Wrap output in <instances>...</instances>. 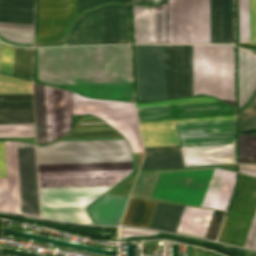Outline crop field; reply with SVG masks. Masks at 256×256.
<instances>
[{
	"mask_svg": "<svg viewBox=\"0 0 256 256\" xmlns=\"http://www.w3.org/2000/svg\"><path fill=\"white\" fill-rule=\"evenodd\" d=\"M44 83L132 81L130 45L37 48ZM82 95L133 101L132 82L52 84Z\"/></svg>",
	"mask_w": 256,
	"mask_h": 256,
	"instance_id": "1",
	"label": "crop field"
},
{
	"mask_svg": "<svg viewBox=\"0 0 256 256\" xmlns=\"http://www.w3.org/2000/svg\"><path fill=\"white\" fill-rule=\"evenodd\" d=\"M40 188L114 186L132 163L38 166ZM111 187L40 189L42 218L92 223L85 207Z\"/></svg>",
	"mask_w": 256,
	"mask_h": 256,
	"instance_id": "2",
	"label": "crop field"
},
{
	"mask_svg": "<svg viewBox=\"0 0 256 256\" xmlns=\"http://www.w3.org/2000/svg\"><path fill=\"white\" fill-rule=\"evenodd\" d=\"M194 95L210 94L234 106L233 46L193 45Z\"/></svg>",
	"mask_w": 256,
	"mask_h": 256,
	"instance_id": "3",
	"label": "crop field"
},
{
	"mask_svg": "<svg viewBox=\"0 0 256 256\" xmlns=\"http://www.w3.org/2000/svg\"><path fill=\"white\" fill-rule=\"evenodd\" d=\"M37 156L38 165L132 162L124 140L53 142Z\"/></svg>",
	"mask_w": 256,
	"mask_h": 256,
	"instance_id": "4",
	"label": "crop field"
},
{
	"mask_svg": "<svg viewBox=\"0 0 256 256\" xmlns=\"http://www.w3.org/2000/svg\"><path fill=\"white\" fill-rule=\"evenodd\" d=\"M37 144H46L71 129L73 93L33 83Z\"/></svg>",
	"mask_w": 256,
	"mask_h": 256,
	"instance_id": "5",
	"label": "crop field"
},
{
	"mask_svg": "<svg viewBox=\"0 0 256 256\" xmlns=\"http://www.w3.org/2000/svg\"><path fill=\"white\" fill-rule=\"evenodd\" d=\"M73 114H93L119 131L132 152L143 151L133 103L92 100L74 94Z\"/></svg>",
	"mask_w": 256,
	"mask_h": 256,
	"instance_id": "6",
	"label": "crop field"
},
{
	"mask_svg": "<svg viewBox=\"0 0 256 256\" xmlns=\"http://www.w3.org/2000/svg\"><path fill=\"white\" fill-rule=\"evenodd\" d=\"M256 211V179L241 176L222 242L244 246Z\"/></svg>",
	"mask_w": 256,
	"mask_h": 256,
	"instance_id": "7",
	"label": "crop field"
},
{
	"mask_svg": "<svg viewBox=\"0 0 256 256\" xmlns=\"http://www.w3.org/2000/svg\"><path fill=\"white\" fill-rule=\"evenodd\" d=\"M140 101L165 99V45H136Z\"/></svg>",
	"mask_w": 256,
	"mask_h": 256,
	"instance_id": "8",
	"label": "crop field"
},
{
	"mask_svg": "<svg viewBox=\"0 0 256 256\" xmlns=\"http://www.w3.org/2000/svg\"><path fill=\"white\" fill-rule=\"evenodd\" d=\"M75 0H40L39 41L62 37L74 17ZM91 0H76L75 15L90 8Z\"/></svg>",
	"mask_w": 256,
	"mask_h": 256,
	"instance_id": "9",
	"label": "crop field"
},
{
	"mask_svg": "<svg viewBox=\"0 0 256 256\" xmlns=\"http://www.w3.org/2000/svg\"><path fill=\"white\" fill-rule=\"evenodd\" d=\"M192 95L191 45H166V99Z\"/></svg>",
	"mask_w": 256,
	"mask_h": 256,
	"instance_id": "10",
	"label": "crop field"
},
{
	"mask_svg": "<svg viewBox=\"0 0 256 256\" xmlns=\"http://www.w3.org/2000/svg\"><path fill=\"white\" fill-rule=\"evenodd\" d=\"M135 43H170L169 0L152 7L133 6Z\"/></svg>",
	"mask_w": 256,
	"mask_h": 256,
	"instance_id": "11",
	"label": "crop field"
},
{
	"mask_svg": "<svg viewBox=\"0 0 256 256\" xmlns=\"http://www.w3.org/2000/svg\"><path fill=\"white\" fill-rule=\"evenodd\" d=\"M176 126L181 147L234 144V120Z\"/></svg>",
	"mask_w": 256,
	"mask_h": 256,
	"instance_id": "12",
	"label": "crop field"
},
{
	"mask_svg": "<svg viewBox=\"0 0 256 256\" xmlns=\"http://www.w3.org/2000/svg\"><path fill=\"white\" fill-rule=\"evenodd\" d=\"M21 214L40 217L35 146L18 143Z\"/></svg>",
	"mask_w": 256,
	"mask_h": 256,
	"instance_id": "13",
	"label": "crop field"
},
{
	"mask_svg": "<svg viewBox=\"0 0 256 256\" xmlns=\"http://www.w3.org/2000/svg\"><path fill=\"white\" fill-rule=\"evenodd\" d=\"M139 121L234 116V109L222 104H196L137 108Z\"/></svg>",
	"mask_w": 256,
	"mask_h": 256,
	"instance_id": "14",
	"label": "crop field"
},
{
	"mask_svg": "<svg viewBox=\"0 0 256 256\" xmlns=\"http://www.w3.org/2000/svg\"><path fill=\"white\" fill-rule=\"evenodd\" d=\"M111 44L109 6L94 10L79 19L67 45Z\"/></svg>",
	"mask_w": 256,
	"mask_h": 256,
	"instance_id": "15",
	"label": "crop field"
},
{
	"mask_svg": "<svg viewBox=\"0 0 256 256\" xmlns=\"http://www.w3.org/2000/svg\"><path fill=\"white\" fill-rule=\"evenodd\" d=\"M210 43H233L232 0H210Z\"/></svg>",
	"mask_w": 256,
	"mask_h": 256,
	"instance_id": "16",
	"label": "crop field"
},
{
	"mask_svg": "<svg viewBox=\"0 0 256 256\" xmlns=\"http://www.w3.org/2000/svg\"><path fill=\"white\" fill-rule=\"evenodd\" d=\"M34 123L32 95H0V124Z\"/></svg>",
	"mask_w": 256,
	"mask_h": 256,
	"instance_id": "17",
	"label": "crop field"
},
{
	"mask_svg": "<svg viewBox=\"0 0 256 256\" xmlns=\"http://www.w3.org/2000/svg\"><path fill=\"white\" fill-rule=\"evenodd\" d=\"M184 166L234 163V145L181 148Z\"/></svg>",
	"mask_w": 256,
	"mask_h": 256,
	"instance_id": "18",
	"label": "crop field"
},
{
	"mask_svg": "<svg viewBox=\"0 0 256 256\" xmlns=\"http://www.w3.org/2000/svg\"><path fill=\"white\" fill-rule=\"evenodd\" d=\"M171 43H192V0H170Z\"/></svg>",
	"mask_w": 256,
	"mask_h": 256,
	"instance_id": "19",
	"label": "crop field"
},
{
	"mask_svg": "<svg viewBox=\"0 0 256 256\" xmlns=\"http://www.w3.org/2000/svg\"><path fill=\"white\" fill-rule=\"evenodd\" d=\"M139 125L144 147L179 145L174 121Z\"/></svg>",
	"mask_w": 256,
	"mask_h": 256,
	"instance_id": "20",
	"label": "crop field"
},
{
	"mask_svg": "<svg viewBox=\"0 0 256 256\" xmlns=\"http://www.w3.org/2000/svg\"><path fill=\"white\" fill-rule=\"evenodd\" d=\"M106 195V194H105ZM128 198L106 195L88 208L95 224L118 225Z\"/></svg>",
	"mask_w": 256,
	"mask_h": 256,
	"instance_id": "21",
	"label": "crop field"
},
{
	"mask_svg": "<svg viewBox=\"0 0 256 256\" xmlns=\"http://www.w3.org/2000/svg\"><path fill=\"white\" fill-rule=\"evenodd\" d=\"M239 108L256 90V58L238 49Z\"/></svg>",
	"mask_w": 256,
	"mask_h": 256,
	"instance_id": "22",
	"label": "crop field"
},
{
	"mask_svg": "<svg viewBox=\"0 0 256 256\" xmlns=\"http://www.w3.org/2000/svg\"><path fill=\"white\" fill-rule=\"evenodd\" d=\"M144 149L146 156L140 170L183 167L179 146Z\"/></svg>",
	"mask_w": 256,
	"mask_h": 256,
	"instance_id": "23",
	"label": "crop field"
},
{
	"mask_svg": "<svg viewBox=\"0 0 256 256\" xmlns=\"http://www.w3.org/2000/svg\"><path fill=\"white\" fill-rule=\"evenodd\" d=\"M212 212L210 209L186 206L176 232L203 237Z\"/></svg>",
	"mask_w": 256,
	"mask_h": 256,
	"instance_id": "24",
	"label": "crop field"
},
{
	"mask_svg": "<svg viewBox=\"0 0 256 256\" xmlns=\"http://www.w3.org/2000/svg\"><path fill=\"white\" fill-rule=\"evenodd\" d=\"M34 0H0V22L33 24Z\"/></svg>",
	"mask_w": 256,
	"mask_h": 256,
	"instance_id": "25",
	"label": "crop field"
},
{
	"mask_svg": "<svg viewBox=\"0 0 256 256\" xmlns=\"http://www.w3.org/2000/svg\"><path fill=\"white\" fill-rule=\"evenodd\" d=\"M6 167L9 212L20 214L17 183L16 142H6Z\"/></svg>",
	"mask_w": 256,
	"mask_h": 256,
	"instance_id": "26",
	"label": "crop field"
},
{
	"mask_svg": "<svg viewBox=\"0 0 256 256\" xmlns=\"http://www.w3.org/2000/svg\"><path fill=\"white\" fill-rule=\"evenodd\" d=\"M185 206L158 202L150 228L175 232Z\"/></svg>",
	"mask_w": 256,
	"mask_h": 256,
	"instance_id": "27",
	"label": "crop field"
},
{
	"mask_svg": "<svg viewBox=\"0 0 256 256\" xmlns=\"http://www.w3.org/2000/svg\"><path fill=\"white\" fill-rule=\"evenodd\" d=\"M157 202L130 198L121 224L148 228Z\"/></svg>",
	"mask_w": 256,
	"mask_h": 256,
	"instance_id": "28",
	"label": "crop field"
},
{
	"mask_svg": "<svg viewBox=\"0 0 256 256\" xmlns=\"http://www.w3.org/2000/svg\"><path fill=\"white\" fill-rule=\"evenodd\" d=\"M193 43H209V0H193Z\"/></svg>",
	"mask_w": 256,
	"mask_h": 256,
	"instance_id": "29",
	"label": "crop field"
},
{
	"mask_svg": "<svg viewBox=\"0 0 256 256\" xmlns=\"http://www.w3.org/2000/svg\"><path fill=\"white\" fill-rule=\"evenodd\" d=\"M112 44L130 43L127 6L111 5Z\"/></svg>",
	"mask_w": 256,
	"mask_h": 256,
	"instance_id": "30",
	"label": "crop field"
},
{
	"mask_svg": "<svg viewBox=\"0 0 256 256\" xmlns=\"http://www.w3.org/2000/svg\"><path fill=\"white\" fill-rule=\"evenodd\" d=\"M256 130V93L247 106L238 111V132Z\"/></svg>",
	"mask_w": 256,
	"mask_h": 256,
	"instance_id": "31",
	"label": "crop field"
},
{
	"mask_svg": "<svg viewBox=\"0 0 256 256\" xmlns=\"http://www.w3.org/2000/svg\"><path fill=\"white\" fill-rule=\"evenodd\" d=\"M234 183L235 173L226 170L213 208L225 211Z\"/></svg>",
	"mask_w": 256,
	"mask_h": 256,
	"instance_id": "32",
	"label": "crop field"
},
{
	"mask_svg": "<svg viewBox=\"0 0 256 256\" xmlns=\"http://www.w3.org/2000/svg\"><path fill=\"white\" fill-rule=\"evenodd\" d=\"M256 162V135H239V163Z\"/></svg>",
	"mask_w": 256,
	"mask_h": 256,
	"instance_id": "33",
	"label": "crop field"
},
{
	"mask_svg": "<svg viewBox=\"0 0 256 256\" xmlns=\"http://www.w3.org/2000/svg\"><path fill=\"white\" fill-rule=\"evenodd\" d=\"M0 138H35L34 124L0 125Z\"/></svg>",
	"mask_w": 256,
	"mask_h": 256,
	"instance_id": "34",
	"label": "crop field"
},
{
	"mask_svg": "<svg viewBox=\"0 0 256 256\" xmlns=\"http://www.w3.org/2000/svg\"><path fill=\"white\" fill-rule=\"evenodd\" d=\"M32 49L16 48L15 75L31 79Z\"/></svg>",
	"mask_w": 256,
	"mask_h": 256,
	"instance_id": "35",
	"label": "crop field"
},
{
	"mask_svg": "<svg viewBox=\"0 0 256 256\" xmlns=\"http://www.w3.org/2000/svg\"><path fill=\"white\" fill-rule=\"evenodd\" d=\"M224 171L225 170L218 169L216 167L214 168V171H213V174H212V177H211V180H210V183L201 207H207V208L213 207Z\"/></svg>",
	"mask_w": 256,
	"mask_h": 256,
	"instance_id": "36",
	"label": "crop field"
},
{
	"mask_svg": "<svg viewBox=\"0 0 256 256\" xmlns=\"http://www.w3.org/2000/svg\"><path fill=\"white\" fill-rule=\"evenodd\" d=\"M239 9V42L249 40L248 0H238Z\"/></svg>",
	"mask_w": 256,
	"mask_h": 256,
	"instance_id": "37",
	"label": "crop field"
},
{
	"mask_svg": "<svg viewBox=\"0 0 256 256\" xmlns=\"http://www.w3.org/2000/svg\"><path fill=\"white\" fill-rule=\"evenodd\" d=\"M14 47L0 43V72L13 75Z\"/></svg>",
	"mask_w": 256,
	"mask_h": 256,
	"instance_id": "38",
	"label": "crop field"
},
{
	"mask_svg": "<svg viewBox=\"0 0 256 256\" xmlns=\"http://www.w3.org/2000/svg\"><path fill=\"white\" fill-rule=\"evenodd\" d=\"M0 35L13 42H17L20 44H31L33 32L0 29Z\"/></svg>",
	"mask_w": 256,
	"mask_h": 256,
	"instance_id": "39",
	"label": "crop field"
},
{
	"mask_svg": "<svg viewBox=\"0 0 256 256\" xmlns=\"http://www.w3.org/2000/svg\"><path fill=\"white\" fill-rule=\"evenodd\" d=\"M224 212L214 211L205 237L215 239L219 230Z\"/></svg>",
	"mask_w": 256,
	"mask_h": 256,
	"instance_id": "40",
	"label": "crop field"
},
{
	"mask_svg": "<svg viewBox=\"0 0 256 256\" xmlns=\"http://www.w3.org/2000/svg\"><path fill=\"white\" fill-rule=\"evenodd\" d=\"M250 7V40L256 39V0H249Z\"/></svg>",
	"mask_w": 256,
	"mask_h": 256,
	"instance_id": "41",
	"label": "crop field"
},
{
	"mask_svg": "<svg viewBox=\"0 0 256 256\" xmlns=\"http://www.w3.org/2000/svg\"><path fill=\"white\" fill-rule=\"evenodd\" d=\"M155 234H158V232L146 231V230H140V229H131V228H121L120 238L148 236V235H155Z\"/></svg>",
	"mask_w": 256,
	"mask_h": 256,
	"instance_id": "42",
	"label": "crop field"
},
{
	"mask_svg": "<svg viewBox=\"0 0 256 256\" xmlns=\"http://www.w3.org/2000/svg\"><path fill=\"white\" fill-rule=\"evenodd\" d=\"M0 211L8 212L6 178H0Z\"/></svg>",
	"mask_w": 256,
	"mask_h": 256,
	"instance_id": "43",
	"label": "crop field"
},
{
	"mask_svg": "<svg viewBox=\"0 0 256 256\" xmlns=\"http://www.w3.org/2000/svg\"><path fill=\"white\" fill-rule=\"evenodd\" d=\"M244 247L256 249V214Z\"/></svg>",
	"mask_w": 256,
	"mask_h": 256,
	"instance_id": "44",
	"label": "crop field"
},
{
	"mask_svg": "<svg viewBox=\"0 0 256 256\" xmlns=\"http://www.w3.org/2000/svg\"><path fill=\"white\" fill-rule=\"evenodd\" d=\"M0 28L33 31V25H26V24L0 23Z\"/></svg>",
	"mask_w": 256,
	"mask_h": 256,
	"instance_id": "45",
	"label": "crop field"
},
{
	"mask_svg": "<svg viewBox=\"0 0 256 256\" xmlns=\"http://www.w3.org/2000/svg\"><path fill=\"white\" fill-rule=\"evenodd\" d=\"M0 177H6L4 141H0Z\"/></svg>",
	"mask_w": 256,
	"mask_h": 256,
	"instance_id": "46",
	"label": "crop field"
},
{
	"mask_svg": "<svg viewBox=\"0 0 256 256\" xmlns=\"http://www.w3.org/2000/svg\"><path fill=\"white\" fill-rule=\"evenodd\" d=\"M239 171L256 176V165L239 164Z\"/></svg>",
	"mask_w": 256,
	"mask_h": 256,
	"instance_id": "47",
	"label": "crop field"
},
{
	"mask_svg": "<svg viewBox=\"0 0 256 256\" xmlns=\"http://www.w3.org/2000/svg\"><path fill=\"white\" fill-rule=\"evenodd\" d=\"M194 256H212V253L194 247Z\"/></svg>",
	"mask_w": 256,
	"mask_h": 256,
	"instance_id": "48",
	"label": "crop field"
},
{
	"mask_svg": "<svg viewBox=\"0 0 256 256\" xmlns=\"http://www.w3.org/2000/svg\"><path fill=\"white\" fill-rule=\"evenodd\" d=\"M136 4H155V0H133Z\"/></svg>",
	"mask_w": 256,
	"mask_h": 256,
	"instance_id": "49",
	"label": "crop field"
},
{
	"mask_svg": "<svg viewBox=\"0 0 256 256\" xmlns=\"http://www.w3.org/2000/svg\"><path fill=\"white\" fill-rule=\"evenodd\" d=\"M108 1H127V0H92V6L97 5V4H101V3H104V2H108Z\"/></svg>",
	"mask_w": 256,
	"mask_h": 256,
	"instance_id": "50",
	"label": "crop field"
},
{
	"mask_svg": "<svg viewBox=\"0 0 256 256\" xmlns=\"http://www.w3.org/2000/svg\"><path fill=\"white\" fill-rule=\"evenodd\" d=\"M245 49V48H244ZM248 50L249 52L253 53L254 55H256V50H253V49H246Z\"/></svg>",
	"mask_w": 256,
	"mask_h": 256,
	"instance_id": "51",
	"label": "crop field"
},
{
	"mask_svg": "<svg viewBox=\"0 0 256 256\" xmlns=\"http://www.w3.org/2000/svg\"><path fill=\"white\" fill-rule=\"evenodd\" d=\"M249 44H255L256 45V41L255 42H250Z\"/></svg>",
	"mask_w": 256,
	"mask_h": 256,
	"instance_id": "52",
	"label": "crop field"
}]
</instances>
